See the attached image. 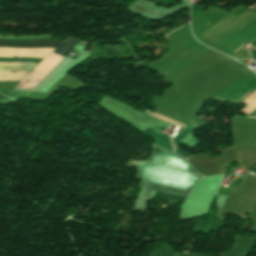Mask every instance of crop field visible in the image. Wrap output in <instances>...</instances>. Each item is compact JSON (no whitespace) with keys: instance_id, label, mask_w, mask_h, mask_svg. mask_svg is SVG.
Masks as SVG:
<instances>
[{"instance_id":"1","label":"crop field","mask_w":256,"mask_h":256,"mask_svg":"<svg viewBox=\"0 0 256 256\" xmlns=\"http://www.w3.org/2000/svg\"><path fill=\"white\" fill-rule=\"evenodd\" d=\"M133 165L138 168V179L178 188L192 190L194 184L201 178L198 175L150 162H134Z\"/></svg>"},{"instance_id":"2","label":"crop field","mask_w":256,"mask_h":256,"mask_svg":"<svg viewBox=\"0 0 256 256\" xmlns=\"http://www.w3.org/2000/svg\"><path fill=\"white\" fill-rule=\"evenodd\" d=\"M148 161L162 163L171 167L181 168L188 171L192 169V167L183 158L159 147H154L153 154Z\"/></svg>"},{"instance_id":"3","label":"crop field","mask_w":256,"mask_h":256,"mask_svg":"<svg viewBox=\"0 0 256 256\" xmlns=\"http://www.w3.org/2000/svg\"><path fill=\"white\" fill-rule=\"evenodd\" d=\"M62 42L57 40H5L0 39V47H52L56 48Z\"/></svg>"},{"instance_id":"4","label":"crop field","mask_w":256,"mask_h":256,"mask_svg":"<svg viewBox=\"0 0 256 256\" xmlns=\"http://www.w3.org/2000/svg\"><path fill=\"white\" fill-rule=\"evenodd\" d=\"M78 40L68 38L66 41L63 42L62 45H60L57 49L54 50V52L59 53L63 56L67 54V52L70 50V48L77 42Z\"/></svg>"},{"instance_id":"5","label":"crop field","mask_w":256,"mask_h":256,"mask_svg":"<svg viewBox=\"0 0 256 256\" xmlns=\"http://www.w3.org/2000/svg\"><path fill=\"white\" fill-rule=\"evenodd\" d=\"M144 132H146V133H148V134H150V135L156 137L157 140H158L157 145H159V146H161V147H163V148H166V149H169V150L173 151L172 145H171V141H170L169 139H167V138H165V137H162V136H160V135H157V134H155V133H153V132H151V131H149V130H147V129L144 130Z\"/></svg>"},{"instance_id":"6","label":"crop field","mask_w":256,"mask_h":256,"mask_svg":"<svg viewBox=\"0 0 256 256\" xmlns=\"http://www.w3.org/2000/svg\"><path fill=\"white\" fill-rule=\"evenodd\" d=\"M180 129H182L183 131L180 132V133L178 134V136L172 140L173 145H174V149H175V147L177 146V144H178L181 140H183L191 131H193V129H191V128H189V127L183 125V124H182V126L180 127Z\"/></svg>"},{"instance_id":"7","label":"crop field","mask_w":256,"mask_h":256,"mask_svg":"<svg viewBox=\"0 0 256 256\" xmlns=\"http://www.w3.org/2000/svg\"><path fill=\"white\" fill-rule=\"evenodd\" d=\"M41 59L38 58H0V62H13V61H24V62H39Z\"/></svg>"},{"instance_id":"8","label":"crop field","mask_w":256,"mask_h":256,"mask_svg":"<svg viewBox=\"0 0 256 256\" xmlns=\"http://www.w3.org/2000/svg\"><path fill=\"white\" fill-rule=\"evenodd\" d=\"M140 187L146 188V189H151V190H156V191H161V192H167V193H172V194L188 196V193L187 194H183V193H178V192H175V191H168V190H163V189L156 188V187L145 186V185H142V184H141Z\"/></svg>"},{"instance_id":"9","label":"crop field","mask_w":256,"mask_h":256,"mask_svg":"<svg viewBox=\"0 0 256 256\" xmlns=\"http://www.w3.org/2000/svg\"><path fill=\"white\" fill-rule=\"evenodd\" d=\"M142 184H145V185H150V186H156V187H161V188H164V189H169V190H178V191H184V192H188L190 193L189 190H183V189H178V188H173V187H168V186H162V185H157V184H152V183H147V182H141Z\"/></svg>"},{"instance_id":"10","label":"crop field","mask_w":256,"mask_h":256,"mask_svg":"<svg viewBox=\"0 0 256 256\" xmlns=\"http://www.w3.org/2000/svg\"><path fill=\"white\" fill-rule=\"evenodd\" d=\"M177 154L181 155L182 157L186 158V157H190L191 155L179 150V149H176L175 151Z\"/></svg>"},{"instance_id":"11","label":"crop field","mask_w":256,"mask_h":256,"mask_svg":"<svg viewBox=\"0 0 256 256\" xmlns=\"http://www.w3.org/2000/svg\"><path fill=\"white\" fill-rule=\"evenodd\" d=\"M151 192H152V191H150V190H146V189H145L142 195H144V196H148V197H149V196H150V194H151Z\"/></svg>"},{"instance_id":"12","label":"crop field","mask_w":256,"mask_h":256,"mask_svg":"<svg viewBox=\"0 0 256 256\" xmlns=\"http://www.w3.org/2000/svg\"><path fill=\"white\" fill-rule=\"evenodd\" d=\"M251 117H256V111H254L251 115H249Z\"/></svg>"},{"instance_id":"13","label":"crop field","mask_w":256,"mask_h":256,"mask_svg":"<svg viewBox=\"0 0 256 256\" xmlns=\"http://www.w3.org/2000/svg\"><path fill=\"white\" fill-rule=\"evenodd\" d=\"M243 45H244V44H243ZM243 45H242V46H243ZM242 46H241V47H242ZM241 47H239L238 49H240ZM238 49H237V50H238ZM237 50H236V51H237ZM236 51H235V52H236Z\"/></svg>"}]
</instances>
